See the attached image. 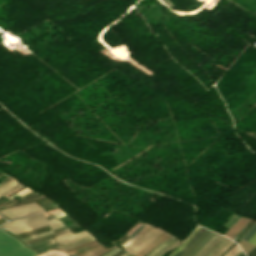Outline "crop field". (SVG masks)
Segmentation results:
<instances>
[{
    "label": "crop field",
    "mask_w": 256,
    "mask_h": 256,
    "mask_svg": "<svg viewBox=\"0 0 256 256\" xmlns=\"http://www.w3.org/2000/svg\"><path fill=\"white\" fill-rule=\"evenodd\" d=\"M0 256H36V254L0 229Z\"/></svg>",
    "instance_id": "obj_1"
},
{
    "label": "crop field",
    "mask_w": 256,
    "mask_h": 256,
    "mask_svg": "<svg viewBox=\"0 0 256 256\" xmlns=\"http://www.w3.org/2000/svg\"><path fill=\"white\" fill-rule=\"evenodd\" d=\"M43 217L44 216L41 213H39L37 215L30 216V217H27V218H24V219H18L16 221L8 222V223H6L2 226L8 228V227L16 226V225L26 223V222H29V221H32V220H35V219L43 218ZM54 220H57V219L53 218V219H50L48 221L50 222V221H54ZM55 222H58V221H55ZM44 223H47L46 218L36 220V221H32V222H29V223H26V224H23V225H19V226H16V227H12V228H9L8 230L12 231L13 233H16V232L21 231L23 229L31 228V227H34V226H37V225H40V224H44ZM51 223H54V222H51ZM48 224H50V223H48ZM48 224H44V225H48ZM44 225H40V226H37V227H41V226H44ZM50 226H51L52 229H55V228L63 227L64 224L59 222V223L51 224ZM37 227H34V228H37ZM34 228H31V229H34ZM31 229H27V230H31ZM27 230H23L21 232H24V231H27ZM21 232H18V233H21Z\"/></svg>",
    "instance_id": "obj_2"
},
{
    "label": "crop field",
    "mask_w": 256,
    "mask_h": 256,
    "mask_svg": "<svg viewBox=\"0 0 256 256\" xmlns=\"http://www.w3.org/2000/svg\"><path fill=\"white\" fill-rule=\"evenodd\" d=\"M216 236L217 234L211 232L188 256H196ZM219 237L220 235L212 240L197 256H200ZM221 238L222 236L219 239ZM219 239H217L201 256H203ZM225 239L226 238L223 237L221 240H219L204 256H209L215 249H217L222 244ZM231 242L232 241L226 239L224 243L210 256H216L224 247H226Z\"/></svg>",
    "instance_id": "obj_3"
},
{
    "label": "crop field",
    "mask_w": 256,
    "mask_h": 256,
    "mask_svg": "<svg viewBox=\"0 0 256 256\" xmlns=\"http://www.w3.org/2000/svg\"><path fill=\"white\" fill-rule=\"evenodd\" d=\"M83 232H85V231H83ZM79 233H82V232H79ZM79 233H77V234H79ZM86 233H88V232H86ZM86 233L79 234V235L74 234V235H76V236H74L71 232H67V233H64V234H61V235L55 237V240L58 241V240H61V239H64V238H68V237H71V236H74V237H71V238H75V237L84 235V234H86ZM88 235H90V234H86V235H84V236H81V237L76 238V239H73V240H69V239H71V238H68V239H65V240H69V241L61 240V241H65V242L58 241L57 243L61 242V244H64V243L76 241V240L81 239V238H83V237H85V236H88ZM92 240H94V238H93L92 236H90V237H87V238H85V239H82V240H80V241H78V242L70 243V244H68V245H64V246H61V247H59V248H61V249H63L64 251H66V250H68V249L74 248V247H76V246H79V245H81V244H84V243L89 242V241H92Z\"/></svg>",
    "instance_id": "obj_4"
},
{
    "label": "crop field",
    "mask_w": 256,
    "mask_h": 256,
    "mask_svg": "<svg viewBox=\"0 0 256 256\" xmlns=\"http://www.w3.org/2000/svg\"><path fill=\"white\" fill-rule=\"evenodd\" d=\"M157 229L151 228L148 232H146L139 240H137L135 243H133L131 246L127 247L125 250L132 251L134 248H136L138 245H140L142 242H144L148 237H150L154 232H156ZM161 231H157L154 233L150 238H148L144 243H142L140 246H138L136 249H134L132 254L136 253L141 248L145 247L150 241H152L157 235H159Z\"/></svg>",
    "instance_id": "obj_5"
},
{
    "label": "crop field",
    "mask_w": 256,
    "mask_h": 256,
    "mask_svg": "<svg viewBox=\"0 0 256 256\" xmlns=\"http://www.w3.org/2000/svg\"><path fill=\"white\" fill-rule=\"evenodd\" d=\"M31 204H34V203H31ZM26 205H30V204H26ZM34 205H37V204H34ZM34 205H30V206H34ZM22 206H25V205H22ZM30 206H25V207H21V208H16V209H12V210H7V211H3L1 213H5V212H9V211H14V210H18V209H22V208H26V207H30ZM40 206V205H39ZM38 205L35 206V207H31V208H26V209H22V210H18V211H14V212H10V213H6V214H3L5 215L6 217H10V216H14V215H19V214H23V213H27V212H30V211H33V210H37V209H40L41 207H39ZM44 209H40V210H37V211H34V212H30V213H27V214H23V215H19V216H14V217H10L9 219H14V218H20V217H23V216H26V215H29V214H33V213H36V212H39V211H42Z\"/></svg>",
    "instance_id": "obj_6"
},
{
    "label": "crop field",
    "mask_w": 256,
    "mask_h": 256,
    "mask_svg": "<svg viewBox=\"0 0 256 256\" xmlns=\"http://www.w3.org/2000/svg\"><path fill=\"white\" fill-rule=\"evenodd\" d=\"M168 234L162 232L159 236H157L152 242H150L145 248L141 249L139 252H137L135 255L137 256H145L150 250H152L155 246H157L159 243L163 242L167 238H169Z\"/></svg>",
    "instance_id": "obj_7"
},
{
    "label": "crop field",
    "mask_w": 256,
    "mask_h": 256,
    "mask_svg": "<svg viewBox=\"0 0 256 256\" xmlns=\"http://www.w3.org/2000/svg\"><path fill=\"white\" fill-rule=\"evenodd\" d=\"M116 246L110 248V249H107L106 247L102 246L101 244L97 245V246H94L92 248H89L85 251H82L80 253H77V256H99L113 248H115Z\"/></svg>",
    "instance_id": "obj_8"
},
{
    "label": "crop field",
    "mask_w": 256,
    "mask_h": 256,
    "mask_svg": "<svg viewBox=\"0 0 256 256\" xmlns=\"http://www.w3.org/2000/svg\"><path fill=\"white\" fill-rule=\"evenodd\" d=\"M249 220L246 218L241 217L234 226L225 234L230 238H234V236L239 232V230L248 222Z\"/></svg>",
    "instance_id": "obj_9"
},
{
    "label": "crop field",
    "mask_w": 256,
    "mask_h": 256,
    "mask_svg": "<svg viewBox=\"0 0 256 256\" xmlns=\"http://www.w3.org/2000/svg\"><path fill=\"white\" fill-rule=\"evenodd\" d=\"M174 238V237H173ZM172 237L168 240L164 241L160 246L154 249L153 252L149 253L147 256H155L158 252L163 250L164 248L168 247L170 244L176 242L177 240L173 239Z\"/></svg>",
    "instance_id": "obj_10"
},
{
    "label": "crop field",
    "mask_w": 256,
    "mask_h": 256,
    "mask_svg": "<svg viewBox=\"0 0 256 256\" xmlns=\"http://www.w3.org/2000/svg\"><path fill=\"white\" fill-rule=\"evenodd\" d=\"M204 231H203V233H204ZM209 233H210V231L206 230V232L203 235L201 234L202 235L201 237H199L182 255L181 254L180 255L187 256Z\"/></svg>",
    "instance_id": "obj_11"
},
{
    "label": "crop field",
    "mask_w": 256,
    "mask_h": 256,
    "mask_svg": "<svg viewBox=\"0 0 256 256\" xmlns=\"http://www.w3.org/2000/svg\"><path fill=\"white\" fill-rule=\"evenodd\" d=\"M13 181H14V180L9 181V182H8L7 184H5L4 186L8 185L9 183H11V182H13ZM16 184H18V183L15 181V182L9 184V185L6 186V187L2 186V187L0 188V190H1L3 187H4V188L0 191V195H1L5 190L11 188L12 186H14V185H16ZM19 187H21V186L18 184V185H16V186L12 187L11 189L5 191L3 195L6 196V195H8L9 193H11L13 190H15V189H17V188H19Z\"/></svg>",
    "instance_id": "obj_12"
},
{
    "label": "crop field",
    "mask_w": 256,
    "mask_h": 256,
    "mask_svg": "<svg viewBox=\"0 0 256 256\" xmlns=\"http://www.w3.org/2000/svg\"><path fill=\"white\" fill-rule=\"evenodd\" d=\"M201 229V227H197L196 230L192 233V235L181 245L179 246L172 254L175 256L192 238L193 236ZM171 256V255H170Z\"/></svg>",
    "instance_id": "obj_13"
},
{
    "label": "crop field",
    "mask_w": 256,
    "mask_h": 256,
    "mask_svg": "<svg viewBox=\"0 0 256 256\" xmlns=\"http://www.w3.org/2000/svg\"><path fill=\"white\" fill-rule=\"evenodd\" d=\"M66 231H69V230L66 229V230H62V231H59V232H55V233H52V234H49V235H45V236H42V237H39V238H36V239H33V240L26 241L25 243H26V244H29V243L35 242V241H37V240H40V239H44V238H48V237H51V236H55V235L64 233V232H66Z\"/></svg>",
    "instance_id": "obj_14"
},
{
    "label": "crop field",
    "mask_w": 256,
    "mask_h": 256,
    "mask_svg": "<svg viewBox=\"0 0 256 256\" xmlns=\"http://www.w3.org/2000/svg\"><path fill=\"white\" fill-rule=\"evenodd\" d=\"M240 245H241V247L243 248V250L246 252V254H247L250 250H252V249L254 248V246H252V245H250V244H248V243H246V242H244V241H241V242H240Z\"/></svg>",
    "instance_id": "obj_15"
},
{
    "label": "crop field",
    "mask_w": 256,
    "mask_h": 256,
    "mask_svg": "<svg viewBox=\"0 0 256 256\" xmlns=\"http://www.w3.org/2000/svg\"><path fill=\"white\" fill-rule=\"evenodd\" d=\"M240 251V248L235 245L225 256H235Z\"/></svg>",
    "instance_id": "obj_16"
},
{
    "label": "crop field",
    "mask_w": 256,
    "mask_h": 256,
    "mask_svg": "<svg viewBox=\"0 0 256 256\" xmlns=\"http://www.w3.org/2000/svg\"><path fill=\"white\" fill-rule=\"evenodd\" d=\"M204 230V228H202L195 236L194 238L176 255L178 256L181 252H183L188 246H190L194 241L195 239L202 233V231Z\"/></svg>",
    "instance_id": "obj_17"
},
{
    "label": "crop field",
    "mask_w": 256,
    "mask_h": 256,
    "mask_svg": "<svg viewBox=\"0 0 256 256\" xmlns=\"http://www.w3.org/2000/svg\"><path fill=\"white\" fill-rule=\"evenodd\" d=\"M256 232V224L253 226V228L243 237L245 240H249V238Z\"/></svg>",
    "instance_id": "obj_18"
},
{
    "label": "crop field",
    "mask_w": 256,
    "mask_h": 256,
    "mask_svg": "<svg viewBox=\"0 0 256 256\" xmlns=\"http://www.w3.org/2000/svg\"><path fill=\"white\" fill-rule=\"evenodd\" d=\"M46 256H68V255H66L62 252H59V251H51Z\"/></svg>",
    "instance_id": "obj_19"
},
{
    "label": "crop field",
    "mask_w": 256,
    "mask_h": 256,
    "mask_svg": "<svg viewBox=\"0 0 256 256\" xmlns=\"http://www.w3.org/2000/svg\"><path fill=\"white\" fill-rule=\"evenodd\" d=\"M48 233H52V230L47 231V232H43V233H40V234H36V235L30 236V237L23 238V240L25 241V240L35 238V237H38V236H42V235H45V234H48Z\"/></svg>",
    "instance_id": "obj_20"
},
{
    "label": "crop field",
    "mask_w": 256,
    "mask_h": 256,
    "mask_svg": "<svg viewBox=\"0 0 256 256\" xmlns=\"http://www.w3.org/2000/svg\"><path fill=\"white\" fill-rule=\"evenodd\" d=\"M181 242H176L174 245H172V246H170V247H168L166 250H164V251H162V252H160L157 256H162L166 251H168V250H171V249H173V248H175L177 245H179Z\"/></svg>",
    "instance_id": "obj_21"
},
{
    "label": "crop field",
    "mask_w": 256,
    "mask_h": 256,
    "mask_svg": "<svg viewBox=\"0 0 256 256\" xmlns=\"http://www.w3.org/2000/svg\"><path fill=\"white\" fill-rule=\"evenodd\" d=\"M41 198H43V196H39V197H37V198L30 199V200L25 201V202H22V203H18V204L10 205V206H7V207H5V208L12 207V206H16V205H20V204L27 203V202H31V201L38 200V199H41Z\"/></svg>",
    "instance_id": "obj_22"
},
{
    "label": "crop field",
    "mask_w": 256,
    "mask_h": 256,
    "mask_svg": "<svg viewBox=\"0 0 256 256\" xmlns=\"http://www.w3.org/2000/svg\"><path fill=\"white\" fill-rule=\"evenodd\" d=\"M119 251H120V249H119V248H116V249H114V250H112V251L106 253V254L103 255V256H113L114 254H116V253L119 252Z\"/></svg>",
    "instance_id": "obj_23"
},
{
    "label": "crop field",
    "mask_w": 256,
    "mask_h": 256,
    "mask_svg": "<svg viewBox=\"0 0 256 256\" xmlns=\"http://www.w3.org/2000/svg\"><path fill=\"white\" fill-rule=\"evenodd\" d=\"M249 242L256 245V233L252 236Z\"/></svg>",
    "instance_id": "obj_24"
},
{
    "label": "crop field",
    "mask_w": 256,
    "mask_h": 256,
    "mask_svg": "<svg viewBox=\"0 0 256 256\" xmlns=\"http://www.w3.org/2000/svg\"><path fill=\"white\" fill-rule=\"evenodd\" d=\"M163 2H165L168 6L174 8V6L172 5V3L169 0H162Z\"/></svg>",
    "instance_id": "obj_25"
},
{
    "label": "crop field",
    "mask_w": 256,
    "mask_h": 256,
    "mask_svg": "<svg viewBox=\"0 0 256 256\" xmlns=\"http://www.w3.org/2000/svg\"><path fill=\"white\" fill-rule=\"evenodd\" d=\"M232 244H233V242H232L231 244H229L226 248H224V249L220 252V254H222V253H223L229 246H231ZM220 254H219V255H220ZM219 255H218V256H219Z\"/></svg>",
    "instance_id": "obj_26"
},
{
    "label": "crop field",
    "mask_w": 256,
    "mask_h": 256,
    "mask_svg": "<svg viewBox=\"0 0 256 256\" xmlns=\"http://www.w3.org/2000/svg\"><path fill=\"white\" fill-rule=\"evenodd\" d=\"M50 252V251H49ZM48 253V252H47ZM47 253H44V254H42V255H40V256H45Z\"/></svg>",
    "instance_id": "obj_27"
},
{
    "label": "crop field",
    "mask_w": 256,
    "mask_h": 256,
    "mask_svg": "<svg viewBox=\"0 0 256 256\" xmlns=\"http://www.w3.org/2000/svg\"><path fill=\"white\" fill-rule=\"evenodd\" d=\"M243 252L241 251L240 253H238L236 256H239L240 254H242Z\"/></svg>",
    "instance_id": "obj_28"
},
{
    "label": "crop field",
    "mask_w": 256,
    "mask_h": 256,
    "mask_svg": "<svg viewBox=\"0 0 256 256\" xmlns=\"http://www.w3.org/2000/svg\"><path fill=\"white\" fill-rule=\"evenodd\" d=\"M129 254L127 253V254H125L124 256H128Z\"/></svg>",
    "instance_id": "obj_29"
},
{
    "label": "crop field",
    "mask_w": 256,
    "mask_h": 256,
    "mask_svg": "<svg viewBox=\"0 0 256 256\" xmlns=\"http://www.w3.org/2000/svg\"><path fill=\"white\" fill-rule=\"evenodd\" d=\"M1 218V217H0Z\"/></svg>",
    "instance_id": "obj_30"
}]
</instances>
